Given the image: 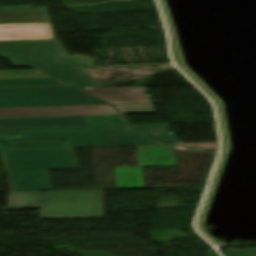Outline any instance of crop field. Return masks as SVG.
<instances>
[{"instance_id": "crop-field-1", "label": "crop field", "mask_w": 256, "mask_h": 256, "mask_svg": "<svg viewBox=\"0 0 256 256\" xmlns=\"http://www.w3.org/2000/svg\"><path fill=\"white\" fill-rule=\"evenodd\" d=\"M0 56L10 58L14 65L31 66L77 88L96 87L84 69L41 70L94 67L93 59L88 56H68L59 40L0 41Z\"/></svg>"}, {"instance_id": "crop-field-2", "label": "crop field", "mask_w": 256, "mask_h": 256, "mask_svg": "<svg viewBox=\"0 0 256 256\" xmlns=\"http://www.w3.org/2000/svg\"><path fill=\"white\" fill-rule=\"evenodd\" d=\"M65 141L66 147L157 144L132 126L67 127L0 130V143Z\"/></svg>"}, {"instance_id": "crop-field-3", "label": "crop field", "mask_w": 256, "mask_h": 256, "mask_svg": "<svg viewBox=\"0 0 256 256\" xmlns=\"http://www.w3.org/2000/svg\"><path fill=\"white\" fill-rule=\"evenodd\" d=\"M1 153L12 191L52 189L47 170L78 169L74 149Z\"/></svg>"}, {"instance_id": "crop-field-4", "label": "crop field", "mask_w": 256, "mask_h": 256, "mask_svg": "<svg viewBox=\"0 0 256 256\" xmlns=\"http://www.w3.org/2000/svg\"><path fill=\"white\" fill-rule=\"evenodd\" d=\"M104 190L42 192L40 220L103 218Z\"/></svg>"}, {"instance_id": "crop-field-5", "label": "crop field", "mask_w": 256, "mask_h": 256, "mask_svg": "<svg viewBox=\"0 0 256 256\" xmlns=\"http://www.w3.org/2000/svg\"><path fill=\"white\" fill-rule=\"evenodd\" d=\"M106 104L73 86L0 89V108Z\"/></svg>"}, {"instance_id": "crop-field-6", "label": "crop field", "mask_w": 256, "mask_h": 256, "mask_svg": "<svg viewBox=\"0 0 256 256\" xmlns=\"http://www.w3.org/2000/svg\"><path fill=\"white\" fill-rule=\"evenodd\" d=\"M139 168H114L117 188L145 187L142 167L176 166L173 146L136 147Z\"/></svg>"}, {"instance_id": "crop-field-7", "label": "crop field", "mask_w": 256, "mask_h": 256, "mask_svg": "<svg viewBox=\"0 0 256 256\" xmlns=\"http://www.w3.org/2000/svg\"><path fill=\"white\" fill-rule=\"evenodd\" d=\"M120 115L110 105L0 109V118Z\"/></svg>"}, {"instance_id": "crop-field-8", "label": "crop field", "mask_w": 256, "mask_h": 256, "mask_svg": "<svg viewBox=\"0 0 256 256\" xmlns=\"http://www.w3.org/2000/svg\"><path fill=\"white\" fill-rule=\"evenodd\" d=\"M111 104L152 103L144 87L82 89Z\"/></svg>"}, {"instance_id": "crop-field-9", "label": "crop field", "mask_w": 256, "mask_h": 256, "mask_svg": "<svg viewBox=\"0 0 256 256\" xmlns=\"http://www.w3.org/2000/svg\"><path fill=\"white\" fill-rule=\"evenodd\" d=\"M36 39H54L50 23L0 25V40Z\"/></svg>"}, {"instance_id": "crop-field-10", "label": "crop field", "mask_w": 256, "mask_h": 256, "mask_svg": "<svg viewBox=\"0 0 256 256\" xmlns=\"http://www.w3.org/2000/svg\"><path fill=\"white\" fill-rule=\"evenodd\" d=\"M87 126L84 117L0 119V129Z\"/></svg>"}, {"instance_id": "crop-field-11", "label": "crop field", "mask_w": 256, "mask_h": 256, "mask_svg": "<svg viewBox=\"0 0 256 256\" xmlns=\"http://www.w3.org/2000/svg\"><path fill=\"white\" fill-rule=\"evenodd\" d=\"M50 22L45 8H0V24Z\"/></svg>"}, {"instance_id": "crop-field-12", "label": "crop field", "mask_w": 256, "mask_h": 256, "mask_svg": "<svg viewBox=\"0 0 256 256\" xmlns=\"http://www.w3.org/2000/svg\"><path fill=\"white\" fill-rule=\"evenodd\" d=\"M147 138L164 143L180 144L170 134L168 124L135 125Z\"/></svg>"}, {"instance_id": "crop-field-13", "label": "crop field", "mask_w": 256, "mask_h": 256, "mask_svg": "<svg viewBox=\"0 0 256 256\" xmlns=\"http://www.w3.org/2000/svg\"><path fill=\"white\" fill-rule=\"evenodd\" d=\"M41 192L8 193L7 208L40 207Z\"/></svg>"}, {"instance_id": "crop-field-14", "label": "crop field", "mask_w": 256, "mask_h": 256, "mask_svg": "<svg viewBox=\"0 0 256 256\" xmlns=\"http://www.w3.org/2000/svg\"><path fill=\"white\" fill-rule=\"evenodd\" d=\"M70 85L55 78L0 80V88Z\"/></svg>"}, {"instance_id": "crop-field-15", "label": "crop field", "mask_w": 256, "mask_h": 256, "mask_svg": "<svg viewBox=\"0 0 256 256\" xmlns=\"http://www.w3.org/2000/svg\"><path fill=\"white\" fill-rule=\"evenodd\" d=\"M88 126L130 125L122 116L85 117Z\"/></svg>"}, {"instance_id": "crop-field-16", "label": "crop field", "mask_w": 256, "mask_h": 256, "mask_svg": "<svg viewBox=\"0 0 256 256\" xmlns=\"http://www.w3.org/2000/svg\"><path fill=\"white\" fill-rule=\"evenodd\" d=\"M49 147H65V145H64V142L0 144V149L49 148Z\"/></svg>"}]
</instances>
